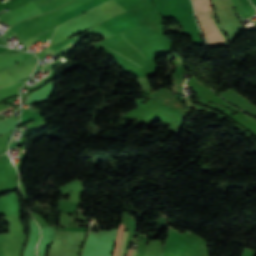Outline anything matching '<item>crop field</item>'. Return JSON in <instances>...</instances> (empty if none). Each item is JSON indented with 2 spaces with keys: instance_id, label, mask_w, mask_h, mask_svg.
Here are the masks:
<instances>
[{
  "instance_id": "1",
  "label": "crop field",
  "mask_w": 256,
  "mask_h": 256,
  "mask_svg": "<svg viewBox=\"0 0 256 256\" xmlns=\"http://www.w3.org/2000/svg\"><path fill=\"white\" fill-rule=\"evenodd\" d=\"M194 5H195L197 17L206 32V35L210 41V45L224 44V42L225 44H227V38L222 33L216 19L213 18L220 33L224 38V42L213 19L210 18L209 11H211V7H210L209 0H194Z\"/></svg>"
},
{
  "instance_id": "2",
  "label": "crop field",
  "mask_w": 256,
  "mask_h": 256,
  "mask_svg": "<svg viewBox=\"0 0 256 256\" xmlns=\"http://www.w3.org/2000/svg\"><path fill=\"white\" fill-rule=\"evenodd\" d=\"M126 235H127V232H123L118 256H122V255H123L124 246H125V240H126Z\"/></svg>"
},
{
  "instance_id": "3",
  "label": "crop field",
  "mask_w": 256,
  "mask_h": 256,
  "mask_svg": "<svg viewBox=\"0 0 256 256\" xmlns=\"http://www.w3.org/2000/svg\"><path fill=\"white\" fill-rule=\"evenodd\" d=\"M135 252H136V250H134V253H133V250H129L128 256H132V253H133V256H135Z\"/></svg>"
}]
</instances>
